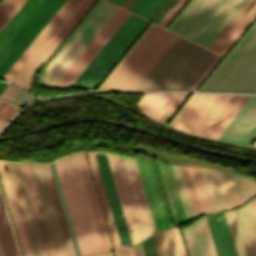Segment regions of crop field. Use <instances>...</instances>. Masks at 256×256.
Returning <instances> with one entry per match:
<instances>
[{"label":"crop field","mask_w":256,"mask_h":256,"mask_svg":"<svg viewBox=\"0 0 256 256\" xmlns=\"http://www.w3.org/2000/svg\"><path fill=\"white\" fill-rule=\"evenodd\" d=\"M78 1L79 0H67L65 2V4L60 8V10L55 14V16L50 20V22L45 26V28L40 32V34L35 38L3 78L12 82L16 75L21 71V69L26 65V63L31 59V57L36 53L40 46Z\"/></svg>","instance_id":"19"},{"label":"crop field","mask_w":256,"mask_h":256,"mask_svg":"<svg viewBox=\"0 0 256 256\" xmlns=\"http://www.w3.org/2000/svg\"><path fill=\"white\" fill-rule=\"evenodd\" d=\"M222 56L218 55L217 58L213 61V63L208 67V69L204 72V74L200 77V79L195 83V85L191 88L190 91H194L195 88L200 84V82L205 78V76L209 73V71L214 67V65L219 61Z\"/></svg>","instance_id":"48"},{"label":"crop field","mask_w":256,"mask_h":256,"mask_svg":"<svg viewBox=\"0 0 256 256\" xmlns=\"http://www.w3.org/2000/svg\"><path fill=\"white\" fill-rule=\"evenodd\" d=\"M153 237H154V241H155L156 248H157L159 256H163L162 249H161V246H160V242H159V239H158V235L156 234Z\"/></svg>","instance_id":"50"},{"label":"crop field","mask_w":256,"mask_h":256,"mask_svg":"<svg viewBox=\"0 0 256 256\" xmlns=\"http://www.w3.org/2000/svg\"><path fill=\"white\" fill-rule=\"evenodd\" d=\"M218 256H236L223 212L206 215Z\"/></svg>","instance_id":"23"},{"label":"crop field","mask_w":256,"mask_h":256,"mask_svg":"<svg viewBox=\"0 0 256 256\" xmlns=\"http://www.w3.org/2000/svg\"><path fill=\"white\" fill-rule=\"evenodd\" d=\"M95 154H106V153H102V152H94ZM96 156V160H97V163H98V166H99V170H100V173H101V176H102V180H103V183H104V187H105V190H106V193H107V197H108V200H109V203H110V207H111V210H112V213H113V217H114V220H115V224H116V227H117V230H118V234H119V237H120V240H121V244H126V243H130V237H129V234H128V231H127V227H126V224H125V221H124V217H123V214H122V210H121V207H120V204H119V200H118V197H117V193H116V190H115V187H114V183H113V180H112V177H111V173H110V170H109V166H108V163H107V160H106V156L105 155H95ZM113 176V175H112ZM130 245H133L132 243L130 244H127V245H123L122 247L124 246H130Z\"/></svg>","instance_id":"18"},{"label":"crop field","mask_w":256,"mask_h":256,"mask_svg":"<svg viewBox=\"0 0 256 256\" xmlns=\"http://www.w3.org/2000/svg\"><path fill=\"white\" fill-rule=\"evenodd\" d=\"M182 167H183V171H184V174H185V177H186L188 188H189V191H190V194H191L193 205H194V208H195V211H196V215L198 216V215L202 214V212H201V208H200L198 198H197V195H196V192H195V188H194V185H193V182H192V178H191V175H190V172H189V168L185 167V166H182Z\"/></svg>","instance_id":"39"},{"label":"crop field","mask_w":256,"mask_h":256,"mask_svg":"<svg viewBox=\"0 0 256 256\" xmlns=\"http://www.w3.org/2000/svg\"><path fill=\"white\" fill-rule=\"evenodd\" d=\"M9 163L11 174L14 180L18 198L21 204L25 222L28 228L32 246L35 252V256H46L40 233L37 227L35 216L32 210L30 199L27 193L23 175L20 169V165L16 163Z\"/></svg>","instance_id":"17"},{"label":"crop field","mask_w":256,"mask_h":256,"mask_svg":"<svg viewBox=\"0 0 256 256\" xmlns=\"http://www.w3.org/2000/svg\"><path fill=\"white\" fill-rule=\"evenodd\" d=\"M200 169L213 212L231 209L256 194V182L252 178Z\"/></svg>","instance_id":"9"},{"label":"crop field","mask_w":256,"mask_h":256,"mask_svg":"<svg viewBox=\"0 0 256 256\" xmlns=\"http://www.w3.org/2000/svg\"><path fill=\"white\" fill-rule=\"evenodd\" d=\"M86 154H87V158H88L90 168H91V171H92V174H93V178H94V181H95V184H96V188H97V191H98V194H99V198H100V201H101V204H102V208H103V211H104V214H105V218H106V221H107V224H108V228H109V231H110V234H111V238H112V241H113V244H114V248L115 249L120 248L121 247L120 242H119L118 235H117V232H116V229H115V225H114L113 218H112V215H111V211H110V208H109V205H108V201H107L106 194H105V191H104V187H103V184H102V181H101V177H100L99 170H98V167H97V163H96V160H95V157H94V153L89 152V153H86Z\"/></svg>","instance_id":"26"},{"label":"crop field","mask_w":256,"mask_h":256,"mask_svg":"<svg viewBox=\"0 0 256 256\" xmlns=\"http://www.w3.org/2000/svg\"><path fill=\"white\" fill-rule=\"evenodd\" d=\"M26 0H3L0 3V31Z\"/></svg>","instance_id":"36"},{"label":"crop field","mask_w":256,"mask_h":256,"mask_svg":"<svg viewBox=\"0 0 256 256\" xmlns=\"http://www.w3.org/2000/svg\"><path fill=\"white\" fill-rule=\"evenodd\" d=\"M171 165V169L174 175V179L177 185V189L180 195V199L183 205V209L186 215V219L195 217V211L192 205L190 194L187 188L185 177L182 171V167L179 165Z\"/></svg>","instance_id":"30"},{"label":"crop field","mask_w":256,"mask_h":256,"mask_svg":"<svg viewBox=\"0 0 256 256\" xmlns=\"http://www.w3.org/2000/svg\"><path fill=\"white\" fill-rule=\"evenodd\" d=\"M66 0H43L0 51V78L22 54Z\"/></svg>","instance_id":"10"},{"label":"crop field","mask_w":256,"mask_h":256,"mask_svg":"<svg viewBox=\"0 0 256 256\" xmlns=\"http://www.w3.org/2000/svg\"><path fill=\"white\" fill-rule=\"evenodd\" d=\"M148 24L131 14L72 86L95 90Z\"/></svg>","instance_id":"8"},{"label":"crop field","mask_w":256,"mask_h":256,"mask_svg":"<svg viewBox=\"0 0 256 256\" xmlns=\"http://www.w3.org/2000/svg\"><path fill=\"white\" fill-rule=\"evenodd\" d=\"M146 256H158L154 245L153 237L142 242Z\"/></svg>","instance_id":"46"},{"label":"crop field","mask_w":256,"mask_h":256,"mask_svg":"<svg viewBox=\"0 0 256 256\" xmlns=\"http://www.w3.org/2000/svg\"><path fill=\"white\" fill-rule=\"evenodd\" d=\"M42 2V0H27L23 6L18 10L14 17L0 32V50L20 28V26L26 21L36 7Z\"/></svg>","instance_id":"28"},{"label":"crop field","mask_w":256,"mask_h":256,"mask_svg":"<svg viewBox=\"0 0 256 256\" xmlns=\"http://www.w3.org/2000/svg\"><path fill=\"white\" fill-rule=\"evenodd\" d=\"M4 163H5V166H6V168H7V173H8V175H9L10 182H11V185H12V188H13V192H14L15 199H16V202H17V206H18V209H19V212H20V216H21V219H22V223H23V226H24V230H25V233H26V236H27V240H28V243H29V247H30V250H31V254H32V256H34V252H33L32 246H31V242H30L29 235H28V232H27V228H26V225H25V222H24V218H23V215H22V211H21V208H20V204H19V201H18V198H17V194H16V191H15V187H14V184H13V180H12V177H11V174H10V170H9V167H8V163H7V162H4Z\"/></svg>","instance_id":"44"},{"label":"crop field","mask_w":256,"mask_h":256,"mask_svg":"<svg viewBox=\"0 0 256 256\" xmlns=\"http://www.w3.org/2000/svg\"><path fill=\"white\" fill-rule=\"evenodd\" d=\"M187 2L188 0H178L171 10L166 14V16L161 20L159 25L166 28Z\"/></svg>","instance_id":"40"},{"label":"crop field","mask_w":256,"mask_h":256,"mask_svg":"<svg viewBox=\"0 0 256 256\" xmlns=\"http://www.w3.org/2000/svg\"><path fill=\"white\" fill-rule=\"evenodd\" d=\"M188 94L189 93H181L180 94V96L177 98V100L174 102V104L171 106V108L168 110V112L162 118L161 122L167 124V122L170 120V118L173 116V114L176 112V110L179 108V106L182 104V102L185 100V98L188 96Z\"/></svg>","instance_id":"43"},{"label":"crop field","mask_w":256,"mask_h":256,"mask_svg":"<svg viewBox=\"0 0 256 256\" xmlns=\"http://www.w3.org/2000/svg\"><path fill=\"white\" fill-rule=\"evenodd\" d=\"M95 1L96 0H87L84 3V5L82 4L83 6L78 10V12L68 22V24L62 29V31L57 35V37L51 42V44L46 48V50L40 55V57L35 61V63L30 67V69L24 74V76L19 80L17 85H20L31 91V81L35 73L49 58V56L54 52V50L59 46V44L64 40V38L69 34V32L75 27V25L80 21V19L95 3Z\"/></svg>","instance_id":"20"},{"label":"crop field","mask_w":256,"mask_h":256,"mask_svg":"<svg viewBox=\"0 0 256 256\" xmlns=\"http://www.w3.org/2000/svg\"><path fill=\"white\" fill-rule=\"evenodd\" d=\"M55 256H69L42 164H28Z\"/></svg>","instance_id":"11"},{"label":"crop field","mask_w":256,"mask_h":256,"mask_svg":"<svg viewBox=\"0 0 256 256\" xmlns=\"http://www.w3.org/2000/svg\"><path fill=\"white\" fill-rule=\"evenodd\" d=\"M128 148H132V149L144 152V153H146V154H148L152 157H155L157 159L172 162V163L194 165V166L205 167V168H213V169L230 170V169L225 168V167L215 166V165H211V164H207V163H203V162H199V161H195V160H191V159H187V158L167 155V154L155 151L153 149H150V148H147V147H144V146H141V145L137 146L136 148H133V147H128Z\"/></svg>","instance_id":"31"},{"label":"crop field","mask_w":256,"mask_h":256,"mask_svg":"<svg viewBox=\"0 0 256 256\" xmlns=\"http://www.w3.org/2000/svg\"><path fill=\"white\" fill-rule=\"evenodd\" d=\"M127 249H128L129 256H131L130 249L129 248H127Z\"/></svg>","instance_id":"58"},{"label":"crop field","mask_w":256,"mask_h":256,"mask_svg":"<svg viewBox=\"0 0 256 256\" xmlns=\"http://www.w3.org/2000/svg\"><path fill=\"white\" fill-rule=\"evenodd\" d=\"M54 163L80 254L111 250L85 154L75 153Z\"/></svg>","instance_id":"2"},{"label":"crop field","mask_w":256,"mask_h":256,"mask_svg":"<svg viewBox=\"0 0 256 256\" xmlns=\"http://www.w3.org/2000/svg\"><path fill=\"white\" fill-rule=\"evenodd\" d=\"M18 108L0 100V128L13 115Z\"/></svg>","instance_id":"41"},{"label":"crop field","mask_w":256,"mask_h":256,"mask_svg":"<svg viewBox=\"0 0 256 256\" xmlns=\"http://www.w3.org/2000/svg\"><path fill=\"white\" fill-rule=\"evenodd\" d=\"M132 2H133V0H128V1L124 4L123 8L127 9L128 6H129Z\"/></svg>","instance_id":"54"},{"label":"crop field","mask_w":256,"mask_h":256,"mask_svg":"<svg viewBox=\"0 0 256 256\" xmlns=\"http://www.w3.org/2000/svg\"><path fill=\"white\" fill-rule=\"evenodd\" d=\"M0 179H1V182H2V186H3V189H4V193H5V196H6V200H7V203H8L9 210H10V214H11V217H12V220H13V224H14V227H15V231H16V234H17V238H18V241H19V245H20V248H21L22 255L23 256H31L30 251H29V247H28V244H27V241H26V237H25V234H24V231H23V227H22V224H21V221H20V217H19V214H18V211H17V207H16V204H15V201H14V197H13V194H12V191H11V187H10V184H9V181H8V177H7L5 168H4V164L1 161H0Z\"/></svg>","instance_id":"24"},{"label":"crop field","mask_w":256,"mask_h":256,"mask_svg":"<svg viewBox=\"0 0 256 256\" xmlns=\"http://www.w3.org/2000/svg\"><path fill=\"white\" fill-rule=\"evenodd\" d=\"M6 86H7V84L0 83V93L5 89Z\"/></svg>","instance_id":"55"},{"label":"crop field","mask_w":256,"mask_h":256,"mask_svg":"<svg viewBox=\"0 0 256 256\" xmlns=\"http://www.w3.org/2000/svg\"><path fill=\"white\" fill-rule=\"evenodd\" d=\"M176 37L152 23L97 91H133ZM216 56L178 36L134 91H189Z\"/></svg>","instance_id":"1"},{"label":"crop field","mask_w":256,"mask_h":256,"mask_svg":"<svg viewBox=\"0 0 256 256\" xmlns=\"http://www.w3.org/2000/svg\"><path fill=\"white\" fill-rule=\"evenodd\" d=\"M49 165H50L51 172H52V175H53V178H54V182H55V185H56V188H57V192H58V195H59V198H60V202H61V205H62V208H63V212H64V215H65V218H66V222H67V225H68V228H69V232H70V235H71V238H72V242H73V245H74V248H75V252H76V255L79 256L80 255L79 250H78L77 243H76V240H75V237H74V233H73V230H72V226H71V223H70L68 212H67V209H66V206H65V202H64V199H63V195H62V192H61L59 181H58L56 171H55V168H54V164L52 162Z\"/></svg>","instance_id":"37"},{"label":"crop field","mask_w":256,"mask_h":256,"mask_svg":"<svg viewBox=\"0 0 256 256\" xmlns=\"http://www.w3.org/2000/svg\"><path fill=\"white\" fill-rule=\"evenodd\" d=\"M224 213L237 256H256V218L251 201Z\"/></svg>","instance_id":"13"},{"label":"crop field","mask_w":256,"mask_h":256,"mask_svg":"<svg viewBox=\"0 0 256 256\" xmlns=\"http://www.w3.org/2000/svg\"><path fill=\"white\" fill-rule=\"evenodd\" d=\"M43 165H44V169H45V172H46V175H47V179H48L49 186H50V189H51V192H52V196H53V199H54V203H55V206H56V209H57V213H58V216H59V219H60V223H61V226H62V230H63L64 236H65V240H66V243H67V247H68L70 256H76L75 252H74L72 242H71V238H70V235H69V232H68V228H67V225H66V222H65V218H64V215H63V212H62V208H61V205H60V202H59V198H58V195H57V192H56V188H55V185H54V182H53V178H52V175H51V172H50L49 165L48 164H43Z\"/></svg>","instance_id":"32"},{"label":"crop field","mask_w":256,"mask_h":256,"mask_svg":"<svg viewBox=\"0 0 256 256\" xmlns=\"http://www.w3.org/2000/svg\"><path fill=\"white\" fill-rule=\"evenodd\" d=\"M198 91L256 93V22Z\"/></svg>","instance_id":"5"},{"label":"crop field","mask_w":256,"mask_h":256,"mask_svg":"<svg viewBox=\"0 0 256 256\" xmlns=\"http://www.w3.org/2000/svg\"><path fill=\"white\" fill-rule=\"evenodd\" d=\"M179 94L180 93L144 94L138 104L144 113L160 121Z\"/></svg>","instance_id":"25"},{"label":"crop field","mask_w":256,"mask_h":256,"mask_svg":"<svg viewBox=\"0 0 256 256\" xmlns=\"http://www.w3.org/2000/svg\"><path fill=\"white\" fill-rule=\"evenodd\" d=\"M105 254H106V256H111V252L110 251L106 252Z\"/></svg>","instance_id":"57"},{"label":"crop field","mask_w":256,"mask_h":256,"mask_svg":"<svg viewBox=\"0 0 256 256\" xmlns=\"http://www.w3.org/2000/svg\"><path fill=\"white\" fill-rule=\"evenodd\" d=\"M246 1L192 0L169 30L208 48Z\"/></svg>","instance_id":"4"},{"label":"crop field","mask_w":256,"mask_h":256,"mask_svg":"<svg viewBox=\"0 0 256 256\" xmlns=\"http://www.w3.org/2000/svg\"><path fill=\"white\" fill-rule=\"evenodd\" d=\"M158 235H159L164 256H175L172 249L171 242H170V238L168 235V231L166 230V231L160 232L158 233Z\"/></svg>","instance_id":"42"},{"label":"crop field","mask_w":256,"mask_h":256,"mask_svg":"<svg viewBox=\"0 0 256 256\" xmlns=\"http://www.w3.org/2000/svg\"><path fill=\"white\" fill-rule=\"evenodd\" d=\"M256 17V0H248L208 49L225 55Z\"/></svg>","instance_id":"16"},{"label":"crop field","mask_w":256,"mask_h":256,"mask_svg":"<svg viewBox=\"0 0 256 256\" xmlns=\"http://www.w3.org/2000/svg\"><path fill=\"white\" fill-rule=\"evenodd\" d=\"M155 163L166 197L170 215L173 221V225L175 226L179 223L186 221V219L170 169V165L167 163Z\"/></svg>","instance_id":"22"},{"label":"crop field","mask_w":256,"mask_h":256,"mask_svg":"<svg viewBox=\"0 0 256 256\" xmlns=\"http://www.w3.org/2000/svg\"><path fill=\"white\" fill-rule=\"evenodd\" d=\"M252 201V205H253V208H254V211H255V215H256V197L251 199Z\"/></svg>","instance_id":"53"},{"label":"crop field","mask_w":256,"mask_h":256,"mask_svg":"<svg viewBox=\"0 0 256 256\" xmlns=\"http://www.w3.org/2000/svg\"><path fill=\"white\" fill-rule=\"evenodd\" d=\"M248 97L192 93L169 126L217 139Z\"/></svg>","instance_id":"3"},{"label":"crop field","mask_w":256,"mask_h":256,"mask_svg":"<svg viewBox=\"0 0 256 256\" xmlns=\"http://www.w3.org/2000/svg\"><path fill=\"white\" fill-rule=\"evenodd\" d=\"M20 165H21V169H22V172H23V175H24V179H25V182H26L28 193H29V196H30V199H31L33 210H34V213H35V216H36L38 227H39V230H40V233H41V237H42V240H43V244H44V247H45L46 254H47V256H54L52 246H51V243H50V240H49V236H48V233H47V229H46L44 219H43V216H42V213H41V209H40V206H39V202H38L36 192H35V189H34V185H33L31 175H30V172H29V169H28V165L27 164H20Z\"/></svg>","instance_id":"27"},{"label":"crop field","mask_w":256,"mask_h":256,"mask_svg":"<svg viewBox=\"0 0 256 256\" xmlns=\"http://www.w3.org/2000/svg\"><path fill=\"white\" fill-rule=\"evenodd\" d=\"M118 7L100 0L43 68L40 84L52 88Z\"/></svg>","instance_id":"7"},{"label":"crop field","mask_w":256,"mask_h":256,"mask_svg":"<svg viewBox=\"0 0 256 256\" xmlns=\"http://www.w3.org/2000/svg\"><path fill=\"white\" fill-rule=\"evenodd\" d=\"M90 256H105V254L101 253V254H95V255H90Z\"/></svg>","instance_id":"56"},{"label":"crop field","mask_w":256,"mask_h":256,"mask_svg":"<svg viewBox=\"0 0 256 256\" xmlns=\"http://www.w3.org/2000/svg\"><path fill=\"white\" fill-rule=\"evenodd\" d=\"M108 1H110V2H112V3H114V4H116V5H118V6H120V7H122V4H124L126 0H116V1H118V2H120V3H122V4H120V3H118V2H116V1H114V0H108Z\"/></svg>","instance_id":"52"},{"label":"crop field","mask_w":256,"mask_h":256,"mask_svg":"<svg viewBox=\"0 0 256 256\" xmlns=\"http://www.w3.org/2000/svg\"><path fill=\"white\" fill-rule=\"evenodd\" d=\"M182 231L190 256H216L205 216Z\"/></svg>","instance_id":"21"},{"label":"crop field","mask_w":256,"mask_h":256,"mask_svg":"<svg viewBox=\"0 0 256 256\" xmlns=\"http://www.w3.org/2000/svg\"><path fill=\"white\" fill-rule=\"evenodd\" d=\"M203 213L212 212L199 168L189 167Z\"/></svg>","instance_id":"34"},{"label":"crop field","mask_w":256,"mask_h":256,"mask_svg":"<svg viewBox=\"0 0 256 256\" xmlns=\"http://www.w3.org/2000/svg\"><path fill=\"white\" fill-rule=\"evenodd\" d=\"M130 249H131L132 256H145L141 244L135 247H131Z\"/></svg>","instance_id":"49"},{"label":"crop field","mask_w":256,"mask_h":256,"mask_svg":"<svg viewBox=\"0 0 256 256\" xmlns=\"http://www.w3.org/2000/svg\"><path fill=\"white\" fill-rule=\"evenodd\" d=\"M17 91H18V89L8 85L7 88L2 92L0 97L10 101L11 98L16 94Z\"/></svg>","instance_id":"47"},{"label":"crop field","mask_w":256,"mask_h":256,"mask_svg":"<svg viewBox=\"0 0 256 256\" xmlns=\"http://www.w3.org/2000/svg\"><path fill=\"white\" fill-rule=\"evenodd\" d=\"M253 146H255L256 147V142L254 143V145Z\"/></svg>","instance_id":"59"},{"label":"crop field","mask_w":256,"mask_h":256,"mask_svg":"<svg viewBox=\"0 0 256 256\" xmlns=\"http://www.w3.org/2000/svg\"><path fill=\"white\" fill-rule=\"evenodd\" d=\"M114 252V256H128V253H127V249L124 248V249H119V250H115L113 251Z\"/></svg>","instance_id":"51"},{"label":"crop field","mask_w":256,"mask_h":256,"mask_svg":"<svg viewBox=\"0 0 256 256\" xmlns=\"http://www.w3.org/2000/svg\"><path fill=\"white\" fill-rule=\"evenodd\" d=\"M256 138V96H250L219 140L251 145Z\"/></svg>","instance_id":"15"},{"label":"crop field","mask_w":256,"mask_h":256,"mask_svg":"<svg viewBox=\"0 0 256 256\" xmlns=\"http://www.w3.org/2000/svg\"><path fill=\"white\" fill-rule=\"evenodd\" d=\"M37 97L30 95L28 93H25L21 90L18 91V93L13 97L11 102L16 103L18 105H22L30 100L36 99Z\"/></svg>","instance_id":"45"},{"label":"crop field","mask_w":256,"mask_h":256,"mask_svg":"<svg viewBox=\"0 0 256 256\" xmlns=\"http://www.w3.org/2000/svg\"><path fill=\"white\" fill-rule=\"evenodd\" d=\"M108 158L135 245L156 233L136 164L112 154Z\"/></svg>","instance_id":"6"},{"label":"crop field","mask_w":256,"mask_h":256,"mask_svg":"<svg viewBox=\"0 0 256 256\" xmlns=\"http://www.w3.org/2000/svg\"><path fill=\"white\" fill-rule=\"evenodd\" d=\"M86 0H80L71 12L66 16V18L61 22L57 29L52 33V35L47 39V41L42 45L38 52L33 56V58L28 62L24 69L19 73V75L14 79L13 83H17L18 80L23 76V74L29 69V67L34 63V61L39 57V55L45 50V48L50 44V42L56 37V35L61 31V29L67 24V22L72 18V16L77 12V10L82 6Z\"/></svg>","instance_id":"33"},{"label":"crop field","mask_w":256,"mask_h":256,"mask_svg":"<svg viewBox=\"0 0 256 256\" xmlns=\"http://www.w3.org/2000/svg\"><path fill=\"white\" fill-rule=\"evenodd\" d=\"M129 15L130 13L118 8L53 88H69Z\"/></svg>","instance_id":"12"},{"label":"crop field","mask_w":256,"mask_h":256,"mask_svg":"<svg viewBox=\"0 0 256 256\" xmlns=\"http://www.w3.org/2000/svg\"><path fill=\"white\" fill-rule=\"evenodd\" d=\"M168 231H169V235L171 238V242L173 245L175 255L176 256H187L186 252H185L184 245H183V241L181 238V234H180L179 230L177 229V227L171 228Z\"/></svg>","instance_id":"38"},{"label":"crop field","mask_w":256,"mask_h":256,"mask_svg":"<svg viewBox=\"0 0 256 256\" xmlns=\"http://www.w3.org/2000/svg\"><path fill=\"white\" fill-rule=\"evenodd\" d=\"M163 1L164 0H135L128 10L149 19Z\"/></svg>","instance_id":"35"},{"label":"crop field","mask_w":256,"mask_h":256,"mask_svg":"<svg viewBox=\"0 0 256 256\" xmlns=\"http://www.w3.org/2000/svg\"><path fill=\"white\" fill-rule=\"evenodd\" d=\"M155 224L156 231L170 227L163 197L152 161L135 160Z\"/></svg>","instance_id":"14"},{"label":"crop field","mask_w":256,"mask_h":256,"mask_svg":"<svg viewBox=\"0 0 256 256\" xmlns=\"http://www.w3.org/2000/svg\"><path fill=\"white\" fill-rule=\"evenodd\" d=\"M0 242H1L2 249L5 256H19L1 194H0ZM1 245H0V256H3Z\"/></svg>","instance_id":"29"}]
</instances>
